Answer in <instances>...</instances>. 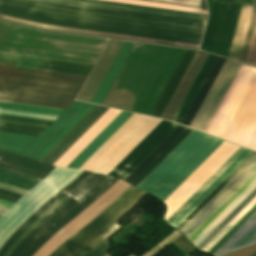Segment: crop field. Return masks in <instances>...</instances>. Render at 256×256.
I'll list each match as a JSON object with an SVG mask.
<instances>
[{
  "instance_id": "obj_10",
  "label": "crop field",
  "mask_w": 256,
  "mask_h": 256,
  "mask_svg": "<svg viewBox=\"0 0 256 256\" xmlns=\"http://www.w3.org/2000/svg\"><path fill=\"white\" fill-rule=\"evenodd\" d=\"M94 107L75 101L21 156L40 161Z\"/></svg>"
},
{
  "instance_id": "obj_45",
  "label": "crop field",
  "mask_w": 256,
  "mask_h": 256,
  "mask_svg": "<svg viewBox=\"0 0 256 256\" xmlns=\"http://www.w3.org/2000/svg\"><path fill=\"white\" fill-rule=\"evenodd\" d=\"M245 63L256 66V27H255V30H254V34H253V37H252V41H251V44H250V48H249L248 55H247Z\"/></svg>"
},
{
  "instance_id": "obj_20",
  "label": "crop field",
  "mask_w": 256,
  "mask_h": 256,
  "mask_svg": "<svg viewBox=\"0 0 256 256\" xmlns=\"http://www.w3.org/2000/svg\"><path fill=\"white\" fill-rule=\"evenodd\" d=\"M207 54L197 51L191 64L189 65L186 73L172 95L169 103L163 111L161 117L172 120L175 112L177 111L181 101L183 100L186 92L188 91L191 83L193 82L196 74L198 73L202 63L204 62Z\"/></svg>"
},
{
  "instance_id": "obj_23",
  "label": "crop field",
  "mask_w": 256,
  "mask_h": 256,
  "mask_svg": "<svg viewBox=\"0 0 256 256\" xmlns=\"http://www.w3.org/2000/svg\"><path fill=\"white\" fill-rule=\"evenodd\" d=\"M133 45L134 43L123 42L110 68L108 69L96 93L94 94L91 103L101 105L104 97L106 96L109 88L111 87L114 79L116 78Z\"/></svg>"
},
{
  "instance_id": "obj_6",
  "label": "crop field",
  "mask_w": 256,
  "mask_h": 256,
  "mask_svg": "<svg viewBox=\"0 0 256 256\" xmlns=\"http://www.w3.org/2000/svg\"><path fill=\"white\" fill-rule=\"evenodd\" d=\"M146 193L130 186L85 227L49 256H76L84 247L122 218Z\"/></svg>"
},
{
  "instance_id": "obj_31",
  "label": "crop field",
  "mask_w": 256,
  "mask_h": 256,
  "mask_svg": "<svg viewBox=\"0 0 256 256\" xmlns=\"http://www.w3.org/2000/svg\"><path fill=\"white\" fill-rule=\"evenodd\" d=\"M39 181L40 179L32 178L12 170L0 168V182L2 183L29 191Z\"/></svg>"
},
{
  "instance_id": "obj_49",
  "label": "crop field",
  "mask_w": 256,
  "mask_h": 256,
  "mask_svg": "<svg viewBox=\"0 0 256 256\" xmlns=\"http://www.w3.org/2000/svg\"><path fill=\"white\" fill-rule=\"evenodd\" d=\"M20 197H21V195H17V194L8 192V191L0 190V199H2V200H6V201L14 203Z\"/></svg>"
},
{
  "instance_id": "obj_21",
  "label": "crop field",
  "mask_w": 256,
  "mask_h": 256,
  "mask_svg": "<svg viewBox=\"0 0 256 256\" xmlns=\"http://www.w3.org/2000/svg\"><path fill=\"white\" fill-rule=\"evenodd\" d=\"M0 167L16 170L40 179L55 168L45 163L32 161L3 151H0Z\"/></svg>"
},
{
  "instance_id": "obj_38",
  "label": "crop field",
  "mask_w": 256,
  "mask_h": 256,
  "mask_svg": "<svg viewBox=\"0 0 256 256\" xmlns=\"http://www.w3.org/2000/svg\"><path fill=\"white\" fill-rule=\"evenodd\" d=\"M0 121L48 127L52 121L0 114Z\"/></svg>"
},
{
  "instance_id": "obj_11",
  "label": "crop field",
  "mask_w": 256,
  "mask_h": 256,
  "mask_svg": "<svg viewBox=\"0 0 256 256\" xmlns=\"http://www.w3.org/2000/svg\"><path fill=\"white\" fill-rule=\"evenodd\" d=\"M240 66L241 63L226 59L217 78L193 119L190 128L204 132Z\"/></svg>"
},
{
  "instance_id": "obj_34",
  "label": "crop field",
  "mask_w": 256,
  "mask_h": 256,
  "mask_svg": "<svg viewBox=\"0 0 256 256\" xmlns=\"http://www.w3.org/2000/svg\"><path fill=\"white\" fill-rule=\"evenodd\" d=\"M0 109L54 115V116H58L60 113L64 111L62 109L24 105V104H17V103L2 102V101H0Z\"/></svg>"
},
{
  "instance_id": "obj_55",
  "label": "crop field",
  "mask_w": 256,
  "mask_h": 256,
  "mask_svg": "<svg viewBox=\"0 0 256 256\" xmlns=\"http://www.w3.org/2000/svg\"><path fill=\"white\" fill-rule=\"evenodd\" d=\"M252 5H255L256 6V0H253V4Z\"/></svg>"
},
{
  "instance_id": "obj_14",
  "label": "crop field",
  "mask_w": 256,
  "mask_h": 256,
  "mask_svg": "<svg viewBox=\"0 0 256 256\" xmlns=\"http://www.w3.org/2000/svg\"><path fill=\"white\" fill-rule=\"evenodd\" d=\"M255 171L256 156L219 193H217L180 231L188 238Z\"/></svg>"
},
{
  "instance_id": "obj_28",
  "label": "crop field",
  "mask_w": 256,
  "mask_h": 256,
  "mask_svg": "<svg viewBox=\"0 0 256 256\" xmlns=\"http://www.w3.org/2000/svg\"><path fill=\"white\" fill-rule=\"evenodd\" d=\"M251 6H242L241 14L237 24L236 32L232 42L229 59L239 60L240 52L242 49L243 41L245 38L246 30L248 27L249 19L252 12Z\"/></svg>"
},
{
  "instance_id": "obj_19",
  "label": "crop field",
  "mask_w": 256,
  "mask_h": 256,
  "mask_svg": "<svg viewBox=\"0 0 256 256\" xmlns=\"http://www.w3.org/2000/svg\"><path fill=\"white\" fill-rule=\"evenodd\" d=\"M120 112L109 109L54 165L66 167Z\"/></svg>"
},
{
  "instance_id": "obj_5",
  "label": "crop field",
  "mask_w": 256,
  "mask_h": 256,
  "mask_svg": "<svg viewBox=\"0 0 256 256\" xmlns=\"http://www.w3.org/2000/svg\"><path fill=\"white\" fill-rule=\"evenodd\" d=\"M160 121L133 114L79 169L107 174Z\"/></svg>"
},
{
  "instance_id": "obj_7",
  "label": "crop field",
  "mask_w": 256,
  "mask_h": 256,
  "mask_svg": "<svg viewBox=\"0 0 256 256\" xmlns=\"http://www.w3.org/2000/svg\"><path fill=\"white\" fill-rule=\"evenodd\" d=\"M241 6L240 4L213 1L201 50L228 57Z\"/></svg>"
},
{
  "instance_id": "obj_12",
  "label": "crop field",
  "mask_w": 256,
  "mask_h": 256,
  "mask_svg": "<svg viewBox=\"0 0 256 256\" xmlns=\"http://www.w3.org/2000/svg\"><path fill=\"white\" fill-rule=\"evenodd\" d=\"M178 124L162 120L108 175L123 180L150 152H152Z\"/></svg>"
},
{
  "instance_id": "obj_58",
  "label": "crop field",
  "mask_w": 256,
  "mask_h": 256,
  "mask_svg": "<svg viewBox=\"0 0 256 256\" xmlns=\"http://www.w3.org/2000/svg\"><path fill=\"white\" fill-rule=\"evenodd\" d=\"M130 256H132V255H130Z\"/></svg>"
},
{
  "instance_id": "obj_43",
  "label": "crop field",
  "mask_w": 256,
  "mask_h": 256,
  "mask_svg": "<svg viewBox=\"0 0 256 256\" xmlns=\"http://www.w3.org/2000/svg\"><path fill=\"white\" fill-rule=\"evenodd\" d=\"M182 233L179 231L173 232L171 235H169L166 239H164L161 243H159L157 246H155L153 249H151L149 252H147L143 256H154L156 255L160 250H162L165 246H167L169 243L177 239Z\"/></svg>"
},
{
  "instance_id": "obj_3",
  "label": "crop field",
  "mask_w": 256,
  "mask_h": 256,
  "mask_svg": "<svg viewBox=\"0 0 256 256\" xmlns=\"http://www.w3.org/2000/svg\"><path fill=\"white\" fill-rule=\"evenodd\" d=\"M86 77L0 65V100L66 109Z\"/></svg>"
},
{
  "instance_id": "obj_44",
  "label": "crop field",
  "mask_w": 256,
  "mask_h": 256,
  "mask_svg": "<svg viewBox=\"0 0 256 256\" xmlns=\"http://www.w3.org/2000/svg\"><path fill=\"white\" fill-rule=\"evenodd\" d=\"M119 225L115 224L111 228H109L106 232H104L100 237H98L94 242H92L89 246L83 249L77 256H83L88 251L93 249L96 245H98L103 239H105L108 235H110L115 229H117Z\"/></svg>"
},
{
  "instance_id": "obj_41",
  "label": "crop field",
  "mask_w": 256,
  "mask_h": 256,
  "mask_svg": "<svg viewBox=\"0 0 256 256\" xmlns=\"http://www.w3.org/2000/svg\"><path fill=\"white\" fill-rule=\"evenodd\" d=\"M255 23H256V7L253 8L252 16H251V19H250L249 27H248V30H247L246 38H245V41H244L243 49H242L240 60H239L240 62H243V63L245 62V58H246V55H247V51H248V48H249V44H250V41H251V37H252V34H253Z\"/></svg>"
},
{
  "instance_id": "obj_30",
  "label": "crop field",
  "mask_w": 256,
  "mask_h": 256,
  "mask_svg": "<svg viewBox=\"0 0 256 256\" xmlns=\"http://www.w3.org/2000/svg\"><path fill=\"white\" fill-rule=\"evenodd\" d=\"M36 137L0 132V150L20 154Z\"/></svg>"
},
{
  "instance_id": "obj_46",
  "label": "crop field",
  "mask_w": 256,
  "mask_h": 256,
  "mask_svg": "<svg viewBox=\"0 0 256 256\" xmlns=\"http://www.w3.org/2000/svg\"><path fill=\"white\" fill-rule=\"evenodd\" d=\"M109 243L108 238L102 241L98 246H96L93 250L87 253L85 256H104L108 253Z\"/></svg>"
},
{
  "instance_id": "obj_57",
  "label": "crop field",
  "mask_w": 256,
  "mask_h": 256,
  "mask_svg": "<svg viewBox=\"0 0 256 256\" xmlns=\"http://www.w3.org/2000/svg\"><path fill=\"white\" fill-rule=\"evenodd\" d=\"M252 256H256V253H254Z\"/></svg>"
},
{
  "instance_id": "obj_54",
  "label": "crop field",
  "mask_w": 256,
  "mask_h": 256,
  "mask_svg": "<svg viewBox=\"0 0 256 256\" xmlns=\"http://www.w3.org/2000/svg\"><path fill=\"white\" fill-rule=\"evenodd\" d=\"M0 207L6 208V209L10 208L9 206H5V205H0Z\"/></svg>"
},
{
  "instance_id": "obj_32",
  "label": "crop field",
  "mask_w": 256,
  "mask_h": 256,
  "mask_svg": "<svg viewBox=\"0 0 256 256\" xmlns=\"http://www.w3.org/2000/svg\"><path fill=\"white\" fill-rule=\"evenodd\" d=\"M252 152L215 190H213L176 228L179 230L218 192L220 191L254 156Z\"/></svg>"
},
{
  "instance_id": "obj_39",
  "label": "crop field",
  "mask_w": 256,
  "mask_h": 256,
  "mask_svg": "<svg viewBox=\"0 0 256 256\" xmlns=\"http://www.w3.org/2000/svg\"><path fill=\"white\" fill-rule=\"evenodd\" d=\"M256 204V197L218 234L216 235L203 249L207 252L249 209Z\"/></svg>"
},
{
  "instance_id": "obj_8",
  "label": "crop field",
  "mask_w": 256,
  "mask_h": 256,
  "mask_svg": "<svg viewBox=\"0 0 256 256\" xmlns=\"http://www.w3.org/2000/svg\"><path fill=\"white\" fill-rule=\"evenodd\" d=\"M52 7L80 10L122 17H130L172 24H180L204 28L206 19L181 15L158 13L144 10L121 8L107 5L84 3L70 0H24Z\"/></svg>"
},
{
  "instance_id": "obj_52",
  "label": "crop field",
  "mask_w": 256,
  "mask_h": 256,
  "mask_svg": "<svg viewBox=\"0 0 256 256\" xmlns=\"http://www.w3.org/2000/svg\"><path fill=\"white\" fill-rule=\"evenodd\" d=\"M0 204H5V205H9V206L13 205L12 203L4 202V201H1V200H0Z\"/></svg>"
},
{
  "instance_id": "obj_53",
  "label": "crop field",
  "mask_w": 256,
  "mask_h": 256,
  "mask_svg": "<svg viewBox=\"0 0 256 256\" xmlns=\"http://www.w3.org/2000/svg\"><path fill=\"white\" fill-rule=\"evenodd\" d=\"M5 211V209L0 208V215H2Z\"/></svg>"
},
{
  "instance_id": "obj_27",
  "label": "crop field",
  "mask_w": 256,
  "mask_h": 256,
  "mask_svg": "<svg viewBox=\"0 0 256 256\" xmlns=\"http://www.w3.org/2000/svg\"><path fill=\"white\" fill-rule=\"evenodd\" d=\"M225 59L224 58H220L217 57L214 65L212 66L208 76L206 77L203 85L201 86L198 94L196 95L193 103L191 104L187 114L185 115L182 124H185L187 126H189L192 118L194 117L197 109L199 108L201 102L203 101L206 93L208 92L211 84L213 83L216 75L218 74L220 68L222 67L223 63H224Z\"/></svg>"
},
{
  "instance_id": "obj_25",
  "label": "crop field",
  "mask_w": 256,
  "mask_h": 256,
  "mask_svg": "<svg viewBox=\"0 0 256 256\" xmlns=\"http://www.w3.org/2000/svg\"><path fill=\"white\" fill-rule=\"evenodd\" d=\"M240 147L166 222L170 225L209 187L211 186L244 152Z\"/></svg>"
},
{
  "instance_id": "obj_29",
  "label": "crop field",
  "mask_w": 256,
  "mask_h": 256,
  "mask_svg": "<svg viewBox=\"0 0 256 256\" xmlns=\"http://www.w3.org/2000/svg\"><path fill=\"white\" fill-rule=\"evenodd\" d=\"M216 59V56H213L211 54H209L205 64L203 65L200 73L198 74L194 84L192 85L189 93L187 94L183 104L181 105L178 113L176 114L174 121H177L179 123H181L184 115L186 114L190 104L192 103L195 95L197 94L200 86L202 85L205 77L207 76L211 66L213 65L214 61Z\"/></svg>"
},
{
  "instance_id": "obj_40",
  "label": "crop field",
  "mask_w": 256,
  "mask_h": 256,
  "mask_svg": "<svg viewBox=\"0 0 256 256\" xmlns=\"http://www.w3.org/2000/svg\"><path fill=\"white\" fill-rule=\"evenodd\" d=\"M255 212L256 205L208 253L213 255Z\"/></svg>"
},
{
  "instance_id": "obj_50",
  "label": "crop field",
  "mask_w": 256,
  "mask_h": 256,
  "mask_svg": "<svg viewBox=\"0 0 256 256\" xmlns=\"http://www.w3.org/2000/svg\"><path fill=\"white\" fill-rule=\"evenodd\" d=\"M0 188L8 190V191L15 192V193H18V194H21V195L26 193V191H24L22 189L15 188V187H12V186H9V185H6V184H0Z\"/></svg>"
},
{
  "instance_id": "obj_17",
  "label": "crop field",
  "mask_w": 256,
  "mask_h": 256,
  "mask_svg": "<svg viewBox=\"0 0 256 256\" xmlns=\"http://www.w3.org/2000/svg\"><path fill=\"white\" fill-rule=\"evenodd\" d=\"M108 109L96 106L69 134H67L41 161L53 164L80 136H82Z\"/></svg>"
},
{
  "instance_id": "obj_1",
  "label": "crop field",
  "mask_w": 256,
  "mask_h": 256,
  "mask_svg": "<svg viewBox=\"0 0 256 256\" xmlns=\"http://www.w3.org/2000/svg\"><path fill=\"white\" fill-rule=\"evenodd\" d=\"M0 13L51 25L199 44L204 29L0 0Z\"/></svg>"
},
{
  "instance_id": "obj_2",
  "label": "crop field",
  "mask_w": 256,
  "mask_h": 256,
  "mask_svg": "<svg viewBox=\"0 0 256 256\" xmlns=\"http://www.w3.org/2000/svg\"><path fill=\"white\" fill-rule=\"evenodd\" d=\"M98 174L83 171L62 191L51 197L40 206L7 240L0 248V256L10 248L11 244L46 210L62 197H71L85 187ZM117 179L99 174L85 188L69 198L45 219H43L27 237L10 253L9 256H32L57 231L65 226L89 204L101 196Z\"/></svg>"
},
{
  "instance_id": "obj_37",
  "label": "crop field",
  "mask_w": 256,
  "mask_h": 256,
  "mask_svg": "<svg viewBox=\"0 0 256 256\" xmlns=\"http://www.w3.org/2000/svg\"><path fill=\"white\" fill-rule=\"evenodd\" d=\"M108 1H115V2H122V3H130V4H137V5H145V6H152V7L167 8V9L207 14L206 12L200 11V9H197V8L160 4V3H153V2H146V1H138V0H108Z\"/></svg>"
},
{
  "instance_id": "obj_24",
  "label": "crop field",
  "mask_w": 256,
  "mask_h": 256,
  "mask_svg": "<svg viewBox=\"0 0 256 256\" xmlns=\"http://www.w3.org/2000/svg\"><path fill=\"white\" fill-rule=\"evenodd\" d=\"M195 53L196 51L186 50L169 83L167 84L160 99L158 100L156 106L154 107L151 113L152 116L160 117L162 111L164 110L166 104L168 103L171 95L173 94L175 88L177 87L179 81L181 80Z\"/></svg>"
},
{
  "instance_id": "obj_9",
  "label": "crop field",
  "mask_w": 256,
  "mask_h": 256,
  "mask_svg": "<svg viewBox=\"0 0 256 256\" xmlns=\"http://www.w3.org/2000/svg\"><path fill=\"white\" fill-rule=\"evenodd\" d=\"M239 146L224 141L164 202L165 220L204 183Z\"/></svg>"
},
{
  "instance_id": "obj_33",
  "label": "crop field",
  "mask_w": 256,
  "mask_h": 256,
  "mask_svg": "<svg viewBox=\"0 0 256 256\" xmlns=\"http://www.w3.org/2000/svg\"><path fill=\"white\" fill-rule=\"evenodd\" d=\"M247 150L210 188H208L173 224L176 227L213 189H215L249 154Z\"/></svg>"
},
{
  "instance_id": "obj_47",
  "label": "crop field",
  "mask_w": 256,
  "mask_h": 256,
  "mask_svg": "<svg viewBox=\"0 0 256 256\" xmlns=\"http://www.w3.org/2000/svg\"><path fill=\"white\" fill-rule=\"evenodd\" d=\"M244 147H247L249 149L256 151V124L254 125L250 135L248 136Z\"/></svg>"
},
{
  "instance_id": "obj_16",
  "label": "crop field",
  "mask_w": 256,
  "mask_h": 256,
  "mask_svg": "<svg viewBox=\"0 0 256 256\" xmlns=\"http://www.w3.org/2000/svg\"><path fill=\"white\" fill-rule=\"evenodd\" d=\"M0 59L14 60V62L9 60H0V64L11 65L13 62L12 65L14 66L28 68L31 59L40 60L41 58L8 54V53H0ZM36 60L31 61L29 68L88 76L90 70L93 67V65L91 64H83V63L60 61V60L45 59V58H42L41 61H36Z\"/></svg>"
},
{
  "instance_id": "obj_15",
  "label": "crop field",
  "mask_w": 256,
  "mask_h": 256,
  "mask_svg": "<svg viewBox=\"0 0 256 256\" xmlns=\"http://www.w3.org/2000/svg\"><path fill=\"white\" fill-rule=\"evenodd\" d=\"M191 131L179 125L124 181L136 187Z\"/></svg>"
},
{
  "instance_id": "obj_51",
  "label": "crop field",
  "mask_w": 256,
  "mask_h": 256,
  "mask_svg": "<svg viewBox=\"0 0 256 256\" xmlns=\"http://www.w3.org/2000/svg\"><path fill=\"white\" fill-rule=\"evenodd\" d=\"M235 2L237 3H243V4H252V0H236Z\"/></svg>"
},
{
  "instance_id": "obj_56",
  "label": "crop field",
  "mask_w": 256,
  "mask_h": 256,
  "mask_svg": "<svg viewBox=\"0 0 256 256\" xmlns=\"http://www.w3.org/2000/svg\"><path fill=\"white\" fill-rule=\"evenodd\" d=\"M226 1H232V2H234L235 0H226Z\"/></svg>"
},
{
  "instance_id": "obj_18",
  "label": "crop field",
  "mask_w": 256,
  "mask_h": 256,
  "mask_svg": "<svg viewBox=\"0 0 256 256\" xmlns=\"http://www.w3.org/2000/svg\"><path fill=\"white\" fill-rule=\"evenodd\" d=\"M0 19L12 21V22H16V23H21V24H25V25H30V26H34V27H39V28H43V29H49V30L65 31V32H72V33L103 36V37L118 38V39H125V40H133V41H141V42L156 43V44H163V45L194 48V49H198V46H199L196 44H188V43L142 38V37H135V36L120 35V34L89 31V30H82V29L51 26V25H45V24L36 23V22L28 21V20H23V19H19V18L6 16V15H1V14H0Z\"/></svg>"
},
{
  "instance_id": "obj_42",
  "label": "crop field",
  "mask_w": 256,
  "mask_h": 256,
  "mask_svg": "<svg viewBox=\"0 0 256 256\" xmlns=\"http://www.w3.org/2000/svg\"><path fill=\"white\" fill-rule=\"evenodd\" d=\"M67 198H62L55 205H53L47 212H45L38 220H36L12 245V247L6 252L5 256H8L9 253L24 239V237L50 212H52L55 208H57L60 204H62Z\"/></svg>"
},
{
  "instance_id": "obj_48",
  "label": "crop field",
  "mask_w": 256,
  "mask_h": 256,
  "mask_svg": "<svg viewBox=\"0 0 256 256\" xmlns=\"http://www.w3.org/2000/svg\"><path fill=\"white\" fill-rule=\"evenodd\" d=\"M152 1H160V2L181 4V5L196 6V7H199V4H200V1H197V0H152Z\"/></svg>"
},
{
  "instance_id": "obj_26",
  "label": "crop field",
  "mask_w": 256,
  "mask_h": 256,
  "mask_svg": "<svg viewBox=\"0 0 256 256\" xmlns=\"http://www.w3.org/2000/svg\"><path fill=\"white\" fill-rule=\"evenodd\" d=\"M256 241V213L214 254L217 256L227 250Z\"/></svg>"
},
{
  "instance_id": "obj_22",
  "label": "crop field",
  "mask_w": 256,
  "mask_h": 256,
  "mask_svg": "<svg viewBox=\"0 0 256 256\" xmlns=\"http://www.w3.org/2000/svg\"><path fill=\"white\" fill-rule=\"evenodd\" d=\"M131 115L122 111L67 167L78 169Z\"/></svg>"
},
{
  "instance_id": "obj_4",
  "label": "crop field",
  "mask_w": 256,
  "mask_h": 256,
  "mask_svg": "<svg viewBox=\"0 0 256 256\" xmlns=\"http://www.w3.org/2000/svg\"><path fill=\"white\" fill-rule=\"evenodd\" d=\"M222 142L193 130L137 188L164 201Z\"/></svg>"
},
{
  "instance_id": "obj_13",
  "label": "crop field",
  "mask_w": 256,
  "mask_h": 256,
  "mask_svg": "<svg viewBox=\"0 0 256 256\" xmlns=\"http://www.w3.org/2000/svg\"><path fill=\"white\" fill-rule=\"evenodd\" d=\"M256 122V77L235 112L222 139L243 146Z\"/></svg>"
},
{
  "instance_id": "obj_35",
  "label": "crop field",
  "mask_w": 256,
  "mask_h": 256,
  "mask_svg": "<svg viewBox=\"0 0 256 256\" xmlns=\"http://www.w3.org/2000/svg\"><path fill=\"white\" fill-rule=\"evenodd\" d=\"M46 128L0 122V131L38 136Z\"/></svg>"
},
{
  "instance_id": "obj_36",
  "label": "crop field",
  "mask_w": 256,
  "mask_h": 256,
  "mask_svg": "<svg viewBox=\"0 0 256 256\" xmlns=\"http://www.w3.org/2000/svg\"><path fill=\"white\" fill-rule=\"evenodd\" d=\"M77 1L92 2V3H99V4H107V5L129 7V8H136V9H144V10H151V11H158V12H166V13H173V14H181V15L203 17V18L207 17V15H204V14H196V13L174 11V10H167V9H159V8H152V7H145V6H137V5H130V4H122V3L100 1V0H77Z\"/></svg>"
}]
</instances>
